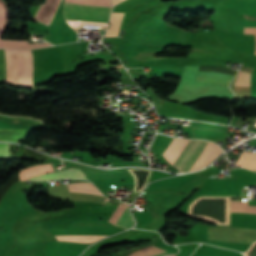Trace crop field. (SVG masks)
Here are the masks:
<instances>
[{
  "label": "crop field",
  "mask_w": 256,
  "mask_h": 256,
  "mask_svg": "<svg viewBox=\"0 0 256 256\" xmlns=\"http://www.w3.org/2000/svg\"><path fill=\"white\" fill-rule=\"evenodd\" d=\"M60 178H76V179H86L84 174L77 169H68L56 173L39 175L35 177H31L29 180H54Z\"/></svg>",
  "instance_id": "7"
},
{
  "label": "crop field",
  "mask_w": 256,
  "mask_h": 256,
  "mask_svg": "<svg viewBox=\"0 0 256 256\" xmlns=\"http://www.w3.org/2000/svg\"><path fill=\"white\" fill-rule=\"evenodd\" d=\"M143 187H144V186H143ZM143 187H142V188H143ZM141 190H142V189H141ZM141 190H140V191H141Z\"/></svg>",
  "instance_id": "19"
},
{
  "label": "crop field",
  "mask_w": 256,
  "mask_h": 256,
  "mask_svg": "<svg viewBox=\"0 0 256 256\" xmlns=\"http://www.w3.org/2000/svg\"><path fill=\"white\" fill-rule=\"evenodd\" d=\"M65 2L81 4V5H95V6L111 7L110 0H65Z\"/></svg>",
  "instance_id": "15"
},
{
  "label": "crop field",
  "mask_w": 256,
  "mask_h": 256,
  "mask_svg": "<svg viewBox=\"0 0 256 256\" xmlns=\"http://www.w3.org/2000/svg\"><path fill=\"white\" fill-rule=\"evenodd\" d=\"M236 165L256 170V153L242 152Z\"/></svg>",
  "instance_id": "12"
},
{
  "label": "crop field",
  "mask_w": 256,
  "mask_h": 256,
  "mask_svg": "<svg viewBox=\"0 0 256 256\" xmlns=\"http://www.w3.org/2000/svg\"><path fill=\"white\" fill-rule=\"evenodd\" d=\"M70 191L79 193H90L103 196L91 183H73L68 184Z\"/></svg>",
  "instance_id": "11"
},
{
  "label": "crop field",
  "mask_w": 256,
  "mask_h": 256,
  "mask_svg": "<svg viewBox=\"0 0 256 256\" xmlns=\"http://www.w3.org/2000/svg\"><path fill=\"white\" fill-rule=\"evenodd\" d=\"M230 213L256 214V206H248V201L231 202Z\"/></svg>",
  "instance_id": "10"
},
{
  "label": "crop field",
  "mask_w": 256,
  "mask_h": 256,
  "mask_svg": "<svg viewBox=\"0 0 256 256\" xmlns=\"http://www.w3.org/2000/svg\"><path fill=\"white\" fill-rule=\"evenodd\" d=\"M235 75L199 72L196 81H214L229 84Z\"/></svg>",
  "instance_id": "9"
},
{
  "label": "crop field",
  "mask_w": 256,
  "mask_h": 256,
  "mask_svg": "<svg viewBox=\"0 0 256 256\" xmlns=\"http://www.w3.org/2000/svg\"><path fill=\"white\" fill-rule=\"evenodd\" d=\"M0 158H9V144L0 143Z\"/></svg>",
  "instance_id": "18"
},
{
  "label": "crop field",
  "mask_w": 256,
  "mask_h": 256,
  "mask_svg": "<svg viewBox=\"0 0 256 256\" xmlns=\"http://www.w3.org/2000/svg\"><path fill=\"white\" fill-rule=\"evenodd\" d=\"M165 253H169V252L162 251L153 246H150V247L138 250V251L132 253L130 256H158V255H162Z\"/></svg>",
  "instance_id": "14"
},
{
  "label": "crop field",
  "mask_w": 256,
  "mask_h": 256,
  "mask_svg": "<svg viewBox=\"0 0 256 256\" xmlns=\"http://www.w3.org/2000/svg\"><path fill=\"white\" fill-rule=\"evenodd\" d=\"M170 256H174V255H170Z\"/></svg>",
  "instance_id": "20"
},
{
  "label": "crop field",
  "mask_w": 256,
  "mask_h": 256,
  "mask_svg": "<svg viewBox=\"0 0 256 256\" xmlns=\"http://www.w3.org/2000/svg\"><path fill=\"white\" fill-rule=\"evenodd\" d=\"M234 86H250V74L240 71Z\"/></svg>",
  "instance_id": "16"
},
{
  "label": "crop field",
  "mask_w": 256,
  "mask_h": 256,
  "mask_svg": "<svg viewBox=\"0 0 256 256\" xmlns=\"http://www.w3.org/2000/svg\"><path fill=\"white\" fill-rule=\"evenodd\" d=\"M103 236H61V237H56L58 240L62 241H73V242H84V243H89L93 242L97 239L102 238Z\"/></svg>",
  "instance_id": "13"
},
{
  "label": "crop field",
  "mask_w": 256,
  "mask_h": 256,
  "mask_svg": "<svg viewBox=\"0 0 256 256\" xmlns=\"http://www.w3.org/2000/svg\"><path fill=\"white\" fill-rule=\"evenodd\" d=\"M109 222L123 228L132 227L134 220L129 212V205L120 203L110 217Z\"/></svg>",
  "instance_id": "6"
},
{
  "label": "crop field",
  "mask_w": 256,
  "mask_h": 256,
  "mask_svg": "<svg viewBox=\"0 0 256 256\" xmlns=\"http://www.w3.org/2000/svg\"><path fill=\"white\" fill-rule=\"evenodd\" d=\"M208 239L252 243L256 240V230L209 226Z\"/></svg>",
  "instance_id": "4"
},
{
  "label": "crop field",
  "mask_w": 256,
  "mask_h": 256,
  "mask_svg": "<svg viewBox=\"0 0 256 256\" xmlns=\"http://www.w3.org/2000/svg\"><path fill=\"white\" fill-rule=\"evenodd\" d=\"M110 9L65 3L64 14L66 19L107 23Z\"/></svg>",
  "instance_id": "3"
},
{
  "label": "crop field",
  "mask_w": 256,
  "mask_h": 256,
  "mask_svg": "<svg viewBox=\"0 0 256 256\" xmlns=\"http://www.w3.org/2000/svg\"><path fill=\"white\" fill-rule=\"evenodd\" d=\"M155 246L160 247V248H162V249H165V250H167V251H170V252H172V253H176V252L178 251L177 248L165 244V243L163 242V240L158 241V242L155 244Z\"/></svg>",
  "instance_id": "17"
},
{
  "label": "crop field",
  "mask_w": 256,
  "mask_h": 256,
  "mask_svg": "<svg viewBox=\"0 0 256 256\" xmlns=\"http://www.w3.org/2000/svg\"><path fill=\"white\" fill-rule=\"evenodd\" d=\"M190 140H184V139H176L174 138L171 144L166 148V150L163 152V156L166 160H168L172 165L176 161V159L179 157L181 152L184 150L186 145L189 143ZM201 140H191L190 143L187 145L185 150L182 152L180 157L177 159V161L174 163V166L181 172L183 167L185 166L186 162L192 155V153L195 151L197 146L200 144ZM207 144L206 141H202V143L199 145V147L196 149V151L193 153L189 161L187 162L186 166L182 170V172L189 171L205 145ZM223 152L217 145L208 142L190 171H193L195 169L201 168L207 163H209L212 159H214L219 153Z\"/></svg>",
  "instance_id": "1"
},
{
  "label": "crop field",
  "mask_w": 256,
  "mask_h": 256,
  "mask_svg": "<svg viewBox=\"0 0 256 256\" xmlns=\"http://www.w3.org/2000/svg\"><path fill=\"white\" fill-rule=\"evenodd\" d=\"M8 81L33 87L30 50H5Z\"/></svg>",
  "instance_id": "2"
},
{
  "label": "crop field",
  "mask_w": 256,
  "mask_h": 256,
  "mask_svg": "<svg viewBox=\"0 0 256 256\" xmlns=\"http://www.w3.org/2000/svg\"><path fill=\"white\" fill-rule=\"evenodd\" d=\"M7 26V10L4 0H0V30H5ZM3 31H0V37ZM50 46L49 43L43 44L35 43L28 44V40H16V39H0V47L4 48H36Z\"/></svg>",
  "instance_id": "5"
},
{
  "label": "crop field",
  "mask_w": 256,
  "mask_h": 256,
  "mask_svg": "<svg viewBox=\"0 0 256 256\" xmlns=\"http://www.w3.org/2000/svg\"><path fill=\"white\" fill-rule=\"evenodd\" d=\"M60 0H46L45 5H42L36 18L37 20L49 24Z\"/></svg>",
  "instance_id": "8"
}]
</instances>
